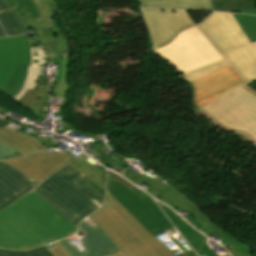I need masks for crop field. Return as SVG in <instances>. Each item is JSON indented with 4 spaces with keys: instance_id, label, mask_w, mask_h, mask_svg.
<instances>
[{
    "instance_id": "cbeb9de0",
    "label": "crop field",
    "mask_w": 256,
    "mask_h": 256,
    "mask_svg": "<svg viewBox=\"0 0 256 256\" xmlns=\"http://www.w3.org/2000/svg\"><path fill=\"white\" fill-rule=\"evenodd\" d=\"M160 193L156 194L159 197H161L159 200L165 202L169 206H171L175 211L180 212L184 211L185 209L183 206H181L178 202L173 200L171 196L164 194L158 187L157 185L154 186ZM188 212V211H187ZM186 219L188 222H190L194 227L200 229L204 233H213L215 234L214 236L220 240L221 244L224 245L226 248L229 249L230 253L232 256H251L250 252L251 250L247 245L241 244L233 240L229 235H227L224 231L213 225L212 223L200 227L198 224L194 222L192 219L190 213L188 212Z\"/></svg>"
},
{
    "instance_id": "b80d0937",
    "label": "crop field",
    "mask_w": 256,
    "mask_h": 256,
    "mask_svg": "<svg viewBox=\"0 0 256 256\" xmlns=\"http://www.w3.org/2000/svg\"><path fill=\"white\" fill-rule=\"evenodd\" d=\"M108 174H110L111 176H113L114 178L118 179L119 181H121L123 184H125L127 187H129L130 189L135 187L132 184H130L129 182H127L126 180H124L123 178H121L120 176H118L117 174L108 171Z\"/></svg>"
},
{
    "instance_id": "ae1a2a85",
    "label": "crop field",
    "mask_w": 256,
    "mask_h": 256,
    "mask_svg": "<svg viewBox=\"0 0 256 256\" xmlns=\"http://www.w3.org/2000/svg\"><path fill=\"white\" fill-rule=\"evenodd\" d=\"M185 243L181 244L178 240H176L173 236L169 237L170 240L175 243L183 252L175 255V256H197L192 248L187 244V242L182 238L181 235L177 234ZM162 243V242H161ZM163 244V243H162ZM164 245V244H163ZM165 246V245H164ZM166 247V246H165ZM167 248V247H166ZM171 251L169 248H167ZM179 251L178 248L172 250V253Z\"/></svg>"
},
{
    "instance_id": "1d83c4d3",
    "label": "crop field",
    "mask_w": 256,
    "mask_h": 256,
    "mask_svg": "<svg viewBox=\"0 0 256 256\" xmlns=\"http://www.w3.org/2000/svg\"><path fill=\"white\" fill-rule=\"evenodd\" d=\"M48 249L52 252L54 256H70L67 253V251L63 248V246L60 244L59 241L54 242L52 246L48 247ZM109 256H127V255L120 251L118 253H115Z\"/></svg>"
},
{
    "instance_id": "f4fd0767",
    "label": "crop field",
    "mask_w": 256,
    "mask_h": 256,
    "mask_svg": "<svg viewBox=\"0 0 256 256\" xmlns=\"http://www.w3.org/2000/svg\"><path fill=\"white\" fill-rule=\"evenodd\" d=\"M220 128L242 134L256 148V89L243 84L198 110Z\"/></svg>"
},
{
    "instance_id": "89e229c0",
    "label": "crop field",
    "mask_w": 256,
    "mask_h": 256,
    "mask_svg": "<svg viewBox=\"0 0 256 256\" xmlns=\"http://www.w3.org/2000/svg\"><path fill=\"white\" fill-rule=\"evenodd\" d=\"M213 1H215V0H213Z\"/></svg>"
},
{
    "instance_id": "8a807250",
    "label": "crop field",
    "mask_w": 256,
    "mask_h": 256,
    "mask_svg": "<svg viewBox=\"0 0 256 256\" xmlns=\"http://www.w3.org/2000/svg\"><path fill=\"white\" fill-rule=\"evenodd\" d=\"M76 227L34 190L0 211V248L28 250L74 234Z\"/></svg>"
},
{
    "instance_id": "b54c1fbb",
    "label": "crop field",
    "mask_w": 256,
    "mask_h": 256,
    "mask_svg": "<svg viewBox=\"0 0 256 256\" xmlns=\"http://www.w3.org/2000/svg\"><path fill=\"white\" fill-rule=\"evenodd\" d=\"M248 39H249L250 43L255 42L256 41V35L249 36Z\"/></svg>"
},
{
    "instance_id": "214f88e0",
    "label": "crop field",
    "mask_w": 256,
    "mask_h": 256,
    "mask_svg": "<svg viewBox=\"0 0 256 256\" xmlns=\"http://www.w3.org/2000/svg\"><path fill=\"white\" fill-rule=\"evenodd\" d=\"M47 99H50L48 85H35L33 90L28 89L18 103L38 117L43 107L47 106Z\"/></svg>"
},
{
    "instance_id": "4a817a6b",
    "label": "crop field",
    "mask_w": 256,
    "mask_h": 256,
    "mask_svg": "<svg viewBox=\"0 0 256 256\" xmlns=\"http://www.w3.org/2000/svg\"><path fill=\"white\" fill-rule=\"evenodd\" d=\"M142 7L163 10H211V0H140Z\"/></svg>"
},
{
    "instance_id": "d3111659",
    "label": "crop field",
    "mask_w": 256,
    "mask_h": 256,
    "mask_svg": "<svg viewBox=\"0 0 256 256\" xmlns=\"http://www.w3.org/2000/svg\"><path fill=\"white\" fill-rule=\"evenodd\" d=\"M92 145V150L93 153H95V157L96 156H100L102 155L105 159L100 160L99 162L102 163L103 165H105L107 168L111 167L113 164L118 166L113 160H111L108 155H106L101 148L105 147L104 144L101 143H97V144H90ZM119 168H121L122 170H124V168L118 166ZM117 167V168H118Z\"/></svg>"
},
{
    "instance_id": "c035e120",
    "label": "crop field",
    "mask_w": 256,
    "mask_h": 256,
    "mask_svg": "<svg viewBox=\"0 0 256 256\" xmlns=\"http://www.w3.org/2000/svg\"><path fill=\"white\" fill-rule=\"evenodd\" d=\"M71 128H72V125L66 124V126H63V127L61 128V130H56V128H55V132H56V133H59V134H62L63 132H65V131H67V130H69V129H71Z\"/></svg>"
},
{
    "instance_id": "3316defc",
    "label": "crop field",
    "mask_w": 256,
    "mask_h": 256,
    "mask_svg": "<svg viewBox=\"0 0 256 256\" xmlns=\"http://www.w3.org/2000/svg\"><path fill=\"white\" fill-rule=\"evenodd\" d=\"M244 83L229 66L220 68L191 82L192 105L198 109L223 93Z\"/></svg>"
},
{
    "instance_id": "d32e631a",
    "label": "crop field",
    "mask_w": 256,
    "mask_h": 256,
    "mask_svg": "<svg viewBox=\"0 0 256 256\" xmlns=\"http://www.w3.org/2000/svg\"><path fill=\"white\" fill-rule=\"evenodd\" d=\"M69 88L68 83L58 82L56 88L52 90L51 95L52 97H66Z\"/></svg>"
},
{
    "instance_id": "4177f3b9",
    "label": "crop field",
    "mask_w": 256,
    "mask_h": 256,
    "mask_svg": "<svg viewBox=\"0 0 256 256\" xmlns=\"http://www.w3.org/2000/svg\"><path fill=\"white\" fill-rule=\"evenodd\" d=\"M239 22L246 36L256 34V16L232 14Z\"/></svg>"
},
{
    "instance_id": "425ffa30",
    "label": "crop field",
    "mask_w": 256,
    "mask_h": 256,
    "mask_svg": "<svg viewBox=\"0 0 256 256\" xmlns=\"http://www.w3.org/2000/svg\"><path fill=\"white\" fill-rule=\"evenodd\" d=\"M119 165H121V166H123V167H125V166H130V165H128L126 162H121Z\"/></svg>"
},
{
    "instance_id": "c21b1889",
    "label": "crop field",
    "mask_w": 256,
    "mask_h": 256,
    "mask_svg": "<svg viewBox=\"0 0 256 256\" xmlns=\"http://www.w3.org/2000/svg\"><path fill=\"white\" fill-rule=\"evenodd\" d=\"M240 12H241V13L256 14V8L246 9V10H242V11H240Z\"/></svg>"
},
{
    "instance_id": "733c2abd",
    "label": "crop field",
    "mask_w": 256,
    "mask_h": 256,
    "mask_svg": "<svg viewBox=\"0 0 256 256\" xmlns=\"http://www.w3.org/2000/svg\"><path fill=\"white\" fill-rule=\"evenodd\" d=\"M31 65L28 66L25 83L21 91L12 99L16 102L25 94L28 88L33 89L35 84H47L46 76H40V65H47L46 58L41 47H30Z\"/></svg>"
},
{
    "instance_id": "00972430",
    "label": "crop field",
    "mask_w": 256,
    "mask_h": 256,
    "mask_svg": "<svg viewBox=\"0 0 256 256\" xmlns=\"http://www.w3.org/2000/svg\"><path fill=\"white\" fill-rule=\"evenodd\" d=\"M256 7V0H217L213 10L232 12L246 8Z\"/></svg>"
},
{
    "instance_id": "34b2d1b8",
    "label": "crop field",
    "mask_w": 256,
    "mask_h": 256,
    "mask_svg": "<svg viewBox=\"0 0 256 256\" xmlns=\"http://www.w3.org/2000/svg\"><path fill=\"white\" fill-rule=\"evenodd\" d=\"M130 256H174L152 237L106 190V203L89 215ZM123 251V252H124Z\"/></svg>"
},
{
    "instance_id": "5d738f31",
    "label": "crop field",
    "mask_w": 256,
    "mask_h": 256,
    "mask_svg": "<svg viewBox=\"0 0 256 256\" xmlns=\"http://www.w3.org/2000/svg\"><path fill=\"white\" fill-rule=\"evenodd\" d=\"M0 37H6V34L3 30V28L1 27V25H0Z\"/></svg>"
},
{
    "instance_id": "dd49c442",
    "label": "crop field",
    "mask_w": 256,
    "mask_h": 256,
    "mask_svg": "<svg viewBox=\"0 0 256 256\" xmlns=\"http://www.w3.org/2000/svg\"><path fill=\"white\" fill-rule=\"evenodd\" d=\"M154 52L172 63L180 73L222 59L196 26L180 32L169 45Z\"/></svg>"
},
{
    "instance_id": "e1f06a70",
    "label": "crop field",
    "mask_w": 256,
    "mask_h": 256,
    "mask_svg": "<svg viewBox=\"0 0 256 256\" xmlns=\"http://www.w3.org/2000/svg\"><path fill=\"white\" fill-rule=\"evenodd\" d=\"M8 146V145H7ZM6 145L0 143V160H3L5 158H7L8 156H10L11 154L17 152L9 147H7Z\"/></svg>"
},
{
    "instance_id": "e52e79f7",
    "label": "crop field",
    "mask_w": 256,
    "mask_h": 256,
    "mask_svg": "<svg viewBox=\"0 0 256 256\" xmlns=\"http://www.w3.org/2000/svg\"><path fill=\"white\" fill-rule=\"evenodd\" d=\"M106 189L152 236L173 228L153 199L143 192L134 193L110 175Z\"/></svg>"
},
{
    "instance_id": "eef30255",
    "label": "crop field",
    "mask_w": 256,
    "mask_h": 256,
    "mask_svg": "<svg viewBox=\"0 0 256 256\" xmlns=\"http://www.w3.org/2000/svg\"><path fill=\"white\" fill-rule=\"evenodd\" d=\"M4 18L6 19L10 29L13 32V35L20 34V33H27L22 22L19 20L18 16L16 15L15 11L7 14H3Z\"/></svg>"
},
{
    "instance_id": "d8731c3e",
    "label": "crop field",
    "mask_w": 256,
    "mask_h": 256,
    "mask_svg": "<svg viewBox=\"0 0 256 256\" xmlns=\"http://www.w3.org/2000/svg\"><path fill=\"white\" fill-rule=\"evenodd\" d=\"M29 64L30 50L24 35L0 39V91L10 98L19 92Z\"/></svg>"
},
{
    "instance_id": "d1516ede",
    "label": "crop field",
    "mask_w": 256,
    "mask_h": 256,
    "mask_svg": "<svg viewBox=\"0 0 256 256\" xmlns=\"http://www.w3.org/2000/svg\"><path fill=\"white\" fill-rule=\"evenodd\" d=\"M80 224L78 232L84 233L82 242L87 249L85 252L78 254L67 239L60 240L71 256H106L119 251L97 225L90 227L84 220Z\"/></svg>"
},
{
    "instance_id": "5866460e",
    "label": "crop field",
    "mask_w": 256,
    "mask_h": 256,
    "mask_svg": "<svg viewBox=\"0 0 256 256\" xmlns=\"http://www.w3.org/2000/svg\"><path fill=\"white\" fill-rule=\"evenodd\" d=\"M40 44L52 43L53 42V32L52 30L39 32L34 35Z\"/></svg>"
},
{
    "instance_id": "a9b5d70f",
    "label": "crop field",
    "mask_w": 256,
    "mask_h": 256,
    "mask_svg": "<svg viewBox=\"0 0 256 256\" xmlns=\"http://www.w3.org/2000/svg\"><path fill=\"white\" fill-rule=\"evenodd\" d=\"M33 1L37 5L40 11V14L42 16L46 29L47 30L50 29L51 15L56 8V4L54 3L53 0H33Z\"/></svg>"
},
{
    "instance_id": "25e5ab78",
    "label": "crop field",
    "mask_w": 256,
    "mask_h": 256,
    "mask_svg": "<svg viewBox=\"0 0 256 256\" xmlns=\"http://www.w3.org/2000/svg\"><path fill=\"white\" fill-rule=\"evenodd\" d=\"M0 111H2V112H4V113H7V111H5V110H3V109H1V108H0Z\"/></svg>"
},
{
    "instance_id": "22f410ed",
    "label": "crop field",
    "mask_w": 256,
    "mask_h": 256,
    "mask_svg": "<svg viewBox=\"0 0 256 256\" xmlns=\"http://www.w3.org/2000/svg\"><path fill=\"white\" fill-rule=\"evenodd\" d=\"M37 185L39 184L32 179L0 161V209L22 197Z\"/></svg>"
},
{
    "instance_id": "412701ff",
    "label": "crop field",
    "mask_w": 256,
    "mask_h": 256,
    "mask_svg": "<svg viewBox=\"0 0 256 256\" xmlns=\"http://www.w3.org/2000/svg\"><path fill=\"white\" fill-rule=\"evenodd\" d=\"M80 172L70 165L50 176L34 189L52 206L62 212L76 227L78 223L98 206L74 184L78 183L101 205L104 197L98 193Z\"/></svg>"
},
{
    "instance_id": "ac0d7876",
    "label": "crop field",
    "mask_w": 256,
    "mask_h": 256,
    "mask_svg": "<svg viewBox=\"0 0 256 256\" xmlns=\"http://www.w3.org/2000/svg\"><path fill=\"white\" fill-rule=\"evenodd\" d=\"M197 27L224 59L183 73L188 82L227 64L245 82L256 80V42L249 43L231 14L212 12Z\"/></svg>"
},
{
    "instance_id": "5a996713",
    "label": "crop field",
    "mask_w": 256,
    "mask_h": 256,
    "mask_svg": "<svg viewBox=\"0 0 256 256\" xmlns=\"http://www.w3.org/2000/svg\"><path fill=\"white\" fill-rule=\"evenodd\" d=\"M140 10L153 42L152 50L169 43L179 31L195 25L186 11Z\"/></svg>"
},
{
    "instance_id": "5142ce71",
    "label": "crop field",
    "mask_w": 256,
    "mask_h": 256,
    "mask_svg": "<svg viewBox=\"0 0 256 256\" xmlns=\"http://www.w3.org/2000/svg\"><path fill=\"white\" fill-rule=\"evenodd\" d=\"M0 142L17 150L22 155L34 152H47L46 148H56L57 146L47 140L43 142L9 127L0 129Z\"/></svg>"
},
{
    "instance_id": "028f5c9d",
    "label": "crop field",
    "mask_w": 256,
    "mask_h": 256,
    "mask_svg": "<svg viewBox=\"0 0 256 256\" xmlns=\"http://www.w3.org/2000/svg\"><path fill=\"white\" fill-rule=\"evenodd\" d=\"M26 23H28L29 27H32L34 32L46 30L41 18L23 22V24H26Z\"/></svg>"
},
{
    "instance_id": "d23c7cc5",
    "label": "crop field",
    "mask_w": 256,
    "mask_h": 256,
    "mask_svg": "<svg viewBox=\"0 0 256 256\" xmlns=\"http://www.w3.org/2000/svg\"><path fill=\"white\" fill-rule=\"evenodd\" d=\"M10 123L6 122V121H0V127H5L7 125H9Z\"/></svg>"
},
{
    "instance_id": "750c4746",
    "label": "crop field",
    "mask_w": 256,
    "mask_h": 256,
    "mask_svg": "<svg viewBox=\"0 0 256 256\" xmlns=\"http://www.w3.org/2000/svg\"><path fill=\"white\" fill-rule=\"evenodd\" d=\"M68 62H69V60H63V58H61V57H52L51 64L62 65V67L60 69L58 81L67 82V77H68V72H69Z\"/></svg>"
},
{
    "instance_id": "120bbe31",
    "label": "crop field",
    "mask_w": 256,
    "mask_h": 256,
    "mask_svg": "<svg viewBox=\"0 0 256 256\" xmlns=\"http://www.w3.org/2000/svg\"><path fill=\"white\" fill-rule=\"evenodd\" d=\"M11 11H13V9L10 7V5L5 0H0V22H1L7 35H12V33H11L9 27L7 26L1 13H7V12H11Z\"/></svg>"
},
{
    "instance_id": "bc2a9ffb",
    "label": "crop field",
    "mask_w": 256,
    "mask_h": 256,
    "mask_svg": "<svg viewBox=\"0 0 256 256\" xmlns=\"http://www.w3.org/2000/svg\"><path fill=\"white\" fill-rule=\"evenodd\" d=\"M159 206L162 208L165 215L171 220V222L176 226L181 235L186 239V241L191 245L193 249L198 253L205 237L189 226L185 220L173 212L169 207L161 204L157 201Z\"/></svg>"
},
{
    "instance_id": "03da06ac",
    "label": "crop field",
    "mask_w": 256,
    "mask_h": 256,
    "mask_svg": "<svg viewBox=\"0 0 256 256\" xmlns=\"http://www.w3.org/2000/svg\"><path fill=\"white\" fill-rule=\"evenodd\" d=\"M42 48L44 49L45 52H50V49L52 47V44H47V45H41Z\"/></svg>"
},
{
    "instance_id": "92a150f3",
    "label": "crop field",
    "mask_w": 256,
    "mask_h": 256,
    "mask_svg": "<svg viewBox=\"0 0 256 256\" xmlns=\"http://www.w3.org/2000/svg\"><path fill=\"white\" fill-rule=\"evenodd\" d=\"M86 159V158H85ZM84 158L80 160L78 157L73 159L70 164L77 170H79L81 173H83L86 177L91 179L95 184H97L101 189L105 186V178L102 176L105 175L102 173L98 168H96L94 165L87 162Z\"/></svg>"
},
{
    "instance_id": "bd1437ed",
    "label": "crop field",
    "mask_w": 256,
    "mask_h": 256,
    "mask_svg": "<svg viewBox=\"0 0 256 256\" xmlns=\"http://www.w3.org/2000/svg\"><path fill=\"white\" fill-rule=\"evenodd\" d=\"M52 28L56 36V41L53 47V53L52 54H61L63 48H64V41L63 36L61 35L55 21H52Z\"/></svg>"
},
{
    "instance_id": "28ad6ade",
    "label": "crop field",
    "mask_w": 256,
    "mask_h": 256,
    "mask_svg": "<svg viewBox=\"0 0 256 256\" xmlns=\"http://www.w3.org/2000/svg\"><path fill=\"white\" fill-rule=\"evenodd\" d=\"M72 158L65 153H49L29 155L4 162L40 184L50 174L63 167Z\"/></svg>"
},
{
    "instance_id": "d9b57169",
    "label": "crop field",
    "mask_w": 256,
    "mask_h": 256,
    "mask_svg": "<svg viewBox=\"0 0 256 256\" xmlns=\"http://www.w3.org/2000/svg\"><path fill=\"white\" fill-rule=\"evenodd\" d=\"M124 172L129 174L125 176V178H127L132 183L137 185L142 182L146 186L153 189L156 193H158V191L152 185L158 184V187L161 188L164 193L170 194L172 198L176 199L181 205L186 207L190 211L195 222L198 223L200 226H203L211 222V219L204 215L196 205H194L191 201L185 198L179 191L175 190L170 185H165L162 181H160L157 178L149 180L139 174L131 173L127 170Z\"/></svg>"
},
{
    "instance_id": "dafd665d",
    "label": "crop field",
    "mask_w": 256,
    "mask_h": 256,
    "mask_svg": "<svg viewBox=\"0 0 256 256\" xmlns=\"http://www.w3.org/2000/svg\"><path fill=\"white\" fill-rule=\"evenodd\" d=\"M16 11L21 21L41 17L32 0H6Z\"/></svg>"
},
{
    "instance_id": "0bd39190",
    "label": "crop field",
    "mask_w": 256,
    "mask_h": 256,
    "mask_svg": "<svg viewBox=\"0 0 256 256\" xmlns=\"http://www.w3.org/2000/svg\"><path fill=\"white\" fill-rule=\"evenodd\" d=\"M199 256H219L218 254H216L214 251H212L208 245L206 244V239L204 241V244L198 254Z\"/></svg>"
},
{
    "instance_id": "73cf0c24",
    "label": "crop field",
    "mask_w": 256,
    "mask_h": 256,
    "mask_svg": "<svg viewBox=\"0 0 256 256\" xmlns=\"http://www.w3.org/2000/svg\"><path fill=\"white\" fill-rule=\"evenodd\" d=\"M225 256H230V255L228 254V255H225Z\"/></svg>"
},
{
    "instance_id": "730fd06b",
    "label": "crop field",
    "mask_w": 256,
    "mask_h": 256,
    "mask_svg": "<svg viewBox=\"0 0 256 256\" xmlns=\"http://www.w3.org/2000/svg\"><path fill=\"white\" fill-rule=\"evenodd\" d=\"M0 256H53L45 246L29 251H9L0 249Z\"/></svg>"
}]
</instances>
